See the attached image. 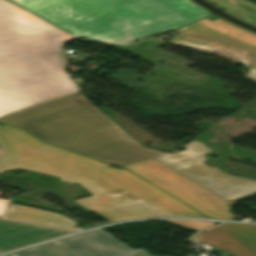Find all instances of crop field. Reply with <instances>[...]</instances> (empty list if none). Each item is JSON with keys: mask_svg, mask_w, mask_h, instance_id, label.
I'll return each instance as SVG.
<instances>
[{"mask_svg": "<svg viewBox=\"0 0 256 256\" xmlns=\"http://www.w3.org/2000/svg\"><path fill=\"white\" fill-rule=\"evenodd\" d=\"M0 141L6 148L0 173L23 168L77 182L93 196L74 202L109 222L163 215L204 217L127 170L46 145L23 130L1 126Z\"/></svg>", "mask_w": 256, "mask_h": 256, "instance_id": "crop-field-1", "label": "crop field"}, {"mask_svg": "<svg viewBox=\"0 0 256 256\" xmlns=\"http://www.w3.org/2000/svg\"><path fill=\"white\" fill-rule=\"evenodd\" d=\"M73 37L0 0V90L63 70L61 45ZM76 91L66 72L0 92V116Z\"/></svg>", "mask_w": 256, "mask_h": 256, "instance_id": "crop-field-2", "label": "crop field"}, {"mask_svg": "<svg viewBox=\"0 0 256 256\" xmlns=\"http://www.w3.org/2000/svg\"><path fill=\"white\" fill-rule=\"evenodd\" d=\"M67 33L123 45L212 15L190 0H10Z\"/></svg>", "mask_w": 256, "mask_h": 256, "instance_id": "crop-field-3", "label": "crop field"}, {"mask_svg": "<svg viewBox=\"0 0 256 256\" xmlns=\"http://www.w3.org/2000/svg\"><path fill=\"white\" fill-rule=\"evenodd\" d=\"M0 121L20 127L45 143L116 166L164 154L134 141L79 92Z\"/></svg>", "mask_w": 256, "mask_h": 256, "instance_id": "crop-field-4", "label": "crop field"}, {"mask_svg": "<svg viewBox=\"0 0 256 256\" xmlns=\"http://www.w3.org/2000/svg\"><path fill=\"white\" fill-rule=\"evenodd\" d=\"M187 150L155 158L215 195L228 201H236L256 195V181L228 175L216 166L207 167L203 153L209 151L202 143L191 141L184 146Z\"/></svg>", "mask_w": 256, "mask_h": 256, "instance_id": "crop-field-5", "label": "crop field"}, {"mask_svg": "<svg viewBox=\"0 0 256 256\" xmlns=\"http://www.w3.org/2000/svg\"><path fill=\"white\" fill-rule=\"evenodd\" d=\"M169 42L202 49L222 50L237 57L250 71L247 77L256 80V35L221 19H205L175 31Z\"/></svg>", "mask_w": 256, "mask_h": 256, "instance_id": "crop-field-6", "label": "crop field"}, {"mask_svg": "<svg viewBox=\"0 0 256 256\" xmlns=\"http://www.w3.org/2000/svg\"><path fill=\"white\" fill-rule=\"evenodd\" d=\"M167 191L209 218L232 220L230 206L152 159L122 166Z\"/></svg>", "mask_w": 256, "mask_h": 256, "instance_id": "crop-field-7", "label": "crop field"}, {"mask_svg": "<svg viewBox=\"0 0 256 256\" xmlns=\"http://www.w3.org/2000/svg\"><path fill=\"white\" fill-rule=\"evenodd\" d=\"M10 256H151L144 249L132 250L103 230H95L19 251Z\"/></svg>", "mask_w": 256, "mask_h": 256, "instance_id": "crop-field-8", "label": "crop field"}, {"mask_svg": "<svg viewBox=\"0 0 256 256\" xmlns=\"http://www.w3.org/2000/svg\"><path fill=\"white\" fill-rule=\"evenodd\" d=\"M75 231L0 219V253Z\"/></svg>", "mask_w": 256, "mask_h": 256, "instance_id": "crop-field-9", "label": "crop field"}, {"mask_svg": "<svg viewBox=\"0 0 256 256\" xmlns=\"http://www.w3.org/2000/svg\"><path fill=\"white\" fill-rule=\"evenodd\" d=\"M6 218L39 222L47 225L75 228L76 224L65 216L22 205L11 204Z\"/></svg>", "mask_w": 256, "mask_h": 256, "instance_id": "crop-field-10", "label": "crop field"}, {"mask_svg": "<svg viewBox=\"0 0 256 256\" xmlns=\"http://www.w3.org/2000/svg\"><path fill=\"white\" fill-rule=\"evenodd\" d=\"M193 240L197 242H207L212 246L223 249L233 255L249 250L220 227L202 232L194 236Z\"/></svg>", "mask_w": 256, "mask_h": 256, "instance_id": "crop-field-11", "label": "crop field"}, {"mask_svg": "<svg viewBox=\"0 0 256 256\" xmlns=\"http://www.w3.org/2000/svg\"><path fill=\"white\" fill-rule=\"evenodd\" d=\"M223 227L256 252L255 225L226 223L223 225Z\"/></svg>", "mask_w": 256, "mask_h": 256, "instance_id": "crop-field-12", "label": "crop field"}, {"mask_svg": "<svg viewBox=\"0 0 256 256\" xmlns=\"http://www.w3.org/2000/svg\"><path fill=\"white\" fill-rule=\"evenodd\" d=\"M179 226H183L186 228H190L193 230H205L209 229L215 225H217L214 222H203V221H179V220H172V221H167Z\"/></svg>", "mask_w": 256, "mask_h": 256, "instance_id": "crop-field-13", "label": "crop field"}, {"mask_svg": "<svg viewBox=\"0 0 256 256\" xmlns=\"http://www.w3.org/2000/svg\"><path fill=\"white\" fill-rule=\"evenodd\" d=\"M7 203H8V200L0 199V217H2V215H3L4 211H5Z\"/></svg>", "mask_w": 256, "mask_h": 256, "instance_id": "crop-field-14", "label": "crop field"}, {"mask_svg": "<svg viewBox=\"0 0 256 256\" xmlns=\"http://www.w3.org/2000/svg\"><path fill=\"white\" fill-rule=\"evenodd\" d=\"M237 256H256V253L253 252V251H251V250H249V251L244 252V253H242V254H239V255H237Z\"/></svg>", "mask_w": 256, "mask_h": 256, "instance_id": "crop-field-15", "label": "crop field"}, {"mask_svg": "<svg viewBox=\"0 0 256 256\" xmlns=\"http://www.w3.org/2000/svg\"><path fill=\"white\" fill-rule=\"evenodd\" d=\"M1 155H2V149H1V147H0V157H1Z\"/></svg>", "mask_w": 256, "mask_h": 256, "instance_id": "crop-field-16", "label": "crop field"}, {"mask_svg": "<svg viewBox=\"0 0 256 256\" xmlns=\"http://www.w3.org/2000/svg\"><path fill=\"white\" fill-rule=\"evenodd\" d=\"M6 256H8V255H6Z\"/></svg>", "mask_w": 256, "mask_h": 256, "instance_id": "crop-field-17", "label": "crop field"}]
</instances>
